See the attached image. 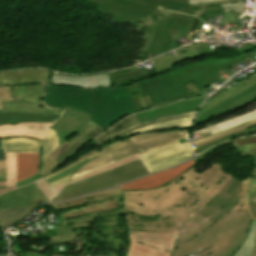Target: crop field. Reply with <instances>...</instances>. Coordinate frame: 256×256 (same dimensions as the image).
Returning <instances> with one entry per match:
<instances>
[{"label": "crop field", "instance_id": "1", "mask_svg": "<svg viewBox=\"0 0 256 256\" xmlns=\"http://www.w3.org/2000/svg\"><path fill=\"white\" fill-rule=\"evenodd\" d=\"M221 167L216 161L198 174L193 166L160 188L123 192L129 234L178 230L172 256H232L256 218L249 178L240 182Z\"/></svg>", "mask_w": 256, "mask_h": 256}, {"label": "crop field", "instance_id": "2", "mask_svg": "<svg viewBox=\"0 0 256 256\" xmlns=\"http://www.w3.org/2000/svg\"><path fill=\"white\" fill-rule=\"evenodd\" d=\"M51 78L44 96L46 106L76 108L91 116L83 130L49 155L60 164L115 122L136 111L127 86L85 90L51 85Z\"/></svg>", "mask_w": 256, "mask_h": 256}, {"label": "crop field", "instance_id": "3", "mask_svg": "<svg viewBox=\"0 0 256 256\" xmlns=\"http://www.w3.org/2000/svg\"><path fill=\"white\" fill-rule=\"evenodd\" d=\"M49 70L0 73V113L61 114L44 107L42 96Z\"/></svg>", "mask_w": 256, "mask_h": 256}, {"label": "crop field", "instance_id": "4", "mask_svg": "<svg viewBox=\"0 0 256 256\" xmlns=\"http://www.w3.org/2000/svg\"><path fill=\"white\" fill-rule=\"evenodd\" d=\"M188 137V130L175 132H160V133H146L141 135L131 136L127 139L116 141L106 146L100 147L96 150L90 151L67 166L57 170L56 172L44 177L47 178L57 172H60L73 164L95 155L98 157L86 163L71 179L86 174L95 169L101 168L126 156L136 154H145L165 146L178 142L177 139ZM70 179V180H71Z\"/></svg>", "mask_w": 256, "mask_h": 256}, {"label": "crop field", "instance_id": "5", "mask_svg": "<svg viewBox=\"0 0 256 256\" xmlns=\"http://www.w3.org/2000/svg\"><path fill=\"white\" fill-rule=\"evenodd\" d=\"M145 174H149V171L143 165L140 159H138L133 162L116 167L103 174L91 177L89 179L71 185H67L65 186L61 195L56 197L54 200H64L91 191L107 188Z\"/></svg>", "mask_w": 256, "mask_h": 256}, {"label": "crop field", "instance_id": "6", "mask_svg": "<svg viewBox=\"0 0 256 256\" xmlns=\"http://www.w3.org/2000/svg\"><path fill=\"white\" fill-rule=\"evenodd\" d=\"M249 57L246 53L223 59H207L192 65L183 66L169 71L179 85L194 81L199 90L216 82L226 80L217 72Z\"/></svg>", "mask_w": 256, "mask_h": 256}, {"label": "crop field", "instance_id": "7", "mask_svg": "<svg viewBox=\"0 0 256 256\" xmlns=\"http://www.w3.org/2000/svg\"><path fill=\"white\" fill-rule=\"evenodd\" d=\"M177 231L167 233L138 232L130 234L127 256H170Z\"/></svg>", "mask_w": 256, "mask_h": 256}, {"label": "crop field", "instance_id": "8", "mask_svg": "<svg viewBox=\"0 0 256 256\" xmlns=\"http://www.w3.org/2000/svg\"><path fill=\"white\" fill-rule=\"evenodd\" d=\"M193 150L190 143L179 145L173 144L163 149L141 155V161L150 173L166 167L182 163L190 158Z\"/></svg>", "mask_w": 256, "mask_h": 256}, {"label": "crop field", "instance_id": "9", "mask_svg": "<svg viewBox=\"0 0 256 256\" xmlns=\"http://www.w3.org/2000/svg\"><path fill=\"white\" fill-rule=\"evenodd\" d=\"M97 5L98 10L105 14H115L113 21L135 19L153 14L157 8L148 7L126 0H88Z\"/></svg>", "mask_w": 256, "mask_h": 256}, {"label": "crop field", "instance_id": "10", "mask_svg": "<svg viewBox=\"0 0 256 256\" xmlns=\"http://www.w3.org/2000/svg\"><path fill=\"white\" fill-rule=\"evenodd\" d=\"M43 201H47V198L34 182L0 195V210H6L10 207H35Z\"/></svg>", "mask_w": 256, "mask_h": 256}, {"label": "crop field", "instance_id": "11", "mask_svg": "<svg viewBox=\"0 0 256 256\" xmlns=\"http://www.w3.org/2000/svg\"><path fill=\"white\" fill-rule=\"evenodd\" d=\"M5 153L10 152H38V146L42 147L41 164L44 159L59 146L55 132L49 128L44 142L28 140L23 138H11L1 140Z\"/></svg>", "mask_w": 256, "mask_h": 256}, {"label": "crop field", "instance_id": "12", "mask_svg": "<svg viewBox=\"0 0 256 256\" xmlns=\"http://www.w3.org/2000/svg\"><path fill=\"white\" fill-rule=\"evenodd\" d=\"M194 112H188V113H182V114H176L171 115L147 122L140 123L138 119L135 117V115H132L125 120L117 123L112 128H110L108 131L103 133L101 136H99L97 139H95L93 142L97 144L105 143L113 138L120 137L124 134L130 133L132 131L144 128L148 125L164 122V121H171V120H177L185 117L192 116Z\"/></svg>", "mask_w": 256, "mask_h": 256}, {"label": "crop field", "instance_id": "13", "mask_svg": "<svg viewBox=\"0 0 256 256\" xmlns=\"http://www.w3.org/2000/svg\"><path fill=\"white\" fill-rule=\"evenodd\" d=\"M63 115L51 127L57 134L60 144L85 127L89 115L76 109L64 108Z\"/></svg>", "mask_w": 256, "mask_h": 256}, {"label": "crop field", "instance_id": "14", "mask_svg": "<svg viewBox=\"0 0 256 256\" xmlns=\"http://www.w3.org/2000/svg\"><path fill=\"white\" fill-rule=\"evenodd\" d=\"M193 166V160L178 166L158 173L156 175L139 179L135 182L122 185L123 191L139 190V189H154L177 177L179 174Z\"/></svg>", "mask_w": 256, "mask_h": 256}, {"label": "crop field", "instance_id": "15", "mask_svg": "<svg viewBox=\"0 0 256 256\" xmlns=\"http://www.w3.org/2000/svg\"><path fill=\"white\" fill-rule=\"evenodd\" d=\"M135 85L149 109L169 104L162 95L167 92V89L156 75L147 80L136 82Z\"/></svg>", "mask_w": 256, "mask_h": 256}, {"label": "crop field", "instance_id": "16", "mask_svg": "<svg viewBox=\"0 0 256 256\" xmlns=\"http://www.w3.org/2000/svg\"><path fill=\"white\" fill-rule=\"evenodd\" d=\"M254 99H256V85L243 91L237 96L219 104L211 111L194 120L193 127L199 123L215 118L221 114L230 112Z\"/></svg>", "mask_w": 256, "mask_h": 256}, {"label": "crop field", "instance_id": "17", "mask_svg": "<svg viewBox=\"0 0 256 256\" xmlns=\"http://www.w3.org/2000/svg\"><path fill=\"white\" fill-rule=\"evenodd\" d=\"M206 97L193 99V100H182L180 102H177L168 106L137 113L135 115L140 120V122H142V121H146V120H150V119H154V118H158V117H162L170 114L194 111Z\"/></svg>", "mask_w": 256, "mask_h": 256}, {"label": "crop field", "instance_id": "18", "mask_svg": "<svg viewBox=\"0 0 256 256\" xmlns=\"http://www.w3.org/2000/svg\"><path fill=\"white\" fill-rule=\"evenodd\" d=\"M52 123H14L0 126V137L21 135L43 139Z\"/></svg>", "mask_w": 256, "mask_h": 256}, {"label": "crop field", "instance_id": "19", "mask_svg": "<svg viewBox=\"0 0 256 256\" xmlns=\"http://www.w3.org/2000/svg\"><path fill=\"white\" fill-rule=\"evenodd\" d=\"M52 84L85 88V89L110 87L107 74L101 75V76L84 77V78H76V77H69V76H54L52 78Z\"/></svg>", "mask_w": 256, "mask_h": 256}, {"label": "crop field", "instance_id": "20", "mask_svg": "<svg viewBox=\"0 0 256 256\" xmlns=\"http://www.w3.org/2000/svg\"><path fill=\"white\" fill-rule=\"evenodd\" d=\"M240 156H255L256 159V136L235 139L232 141ZM254 177L250 178L251 200L253 212L256 216V166L253 170Z\"/></svg>", "mask_w": 256, "mask_h": 256}, {"label": "crop field", "instance_id": "21", "mask_svg": "<svg viewBox=\"0 0 256 256\" xmlns=\"http://www.w3.org/2000/svg\"><path fill=\"white\" fill-rule=\"evenodd\" d=\"M256 84V73L246 80L238 83L237 85L225 90L224 92L220 93L219 95L215 96L214 98L208 100L201 110L198 112L196 118L201 116L202 114L206 113L208 110L215 107L217 104L235 96L236 94L242 92L243 90L251 87L252 85Z\"/></svg>", "mask_w": 256, "mask_h": 256}, {"label": "crop field", "instance_id": "22", "mask_svg": "<svg viewBox=\"0 0 256 256\" xmlns=\"http://www.w3.org/2000/svg\"><path fill=\"white\" fill-rule=\"evenodd\" d=\"M38 159L39 153H16V182L37 173Z\"/></svg>", "mask_w": 256, "mask_h": 256}, {"label": "crop field", "instance_id": "23", "mask_svg": "<svg viewBox=\"0 0 256 256\" xmlns=\"http://www.w3.org/2000/svg\"><path fill=\"white\" fill-rule=\"evenodd\" d=\"M178 55L170 58L164 59L163 57L150 62L153 69L157 72V74L167 72L171 70L170 67L176 61L199 56L193 45L186 46L180 49L175 50Z\"/></svg>", "mask_w": 256, "mask_h": 256}, {"label": "crop field", "instance_id": "24", "mask_svg": "<svg viewBox=\"0 0 256 256\" xmlns=\"http://www.w3.org/2000/svg\"><path fill=\"white\" fill-rule=\"evenodd\" d=\"M122 207L123 205H122V198H121L118 200H111L107 202L85 206L83 208L68 211V212H62L60 213V215L62 216L63 219H65V218L78 217V216H83V215L92 214V213L105 212V211L118 209Z\"/></svg>", "mask_w": 256, "mask_h": 256}, {"label": "crop field", "instance_id": "25", "mask_svg": "<svg viewBox=\"0 0 256 256\" xmlns=\"http://www.w3.org/2000/svg\"><path fill=\"white\" fill-rule=\"evenodd\" d=\"M120 195H122L121 188L117 187L114 189H110V190H107V191H104L101 193H97V194H93L90 196H86L83 198H79V199H75V200H71V201H67V202H62V203H47L45 205H47L55 210H59V209H63V208L79 206L81 204H84V203L90 202V201L102 200L105 198H111V197L120 196Z\"/></svg>", "mask_w": 256, "mask_h": 256}, {"label": "crop field", "instance_id": "26", "mask_svg": "<svg viewBox=\"0 0 256 256\" xmlns=\"http://www.w3.org/2000/svg\"><path fill=\"white\" fill-rule=\"evenodd\" d=\"M59 115H32L22 113L0 114V125L13 122H54Z\"/></svg>", "mask_w": 256, "mask_h": 256}, {"label": "crop field", "instance_id": "27", "mask_svg": "<svg viewBox=\"0 0 256 256\" xmlns=\"http://www.w3.org/2000/svg\"><path fill=\"white\" fill-rule=\"evenodd\" d=\"M158 77L169 91L168 93L164 94L169 103L181 100L189 95L185 86H179L169 72L160 74Z\"/></svg>", "mask_w": 256, "mask_h": 256}, {"label": "crop field", "instance_id": "28", "mask_svg": "<svg viewBox=\"0 0 256 256\" xmlns=\"http://www.w3.org/2000/svg\"><path fill=\"white\" fill-rule=\"evenodd\" d=\"M112 86H123L135 83V81L147 79L150 74L145 68L118 74H109Z\"/></svg>", "mask_w": 256, "mask_h": 256}, {"label": "crop field", "instance_id": "29", "mask_svg": "<svg viewBox=\"0 0 256 256\" xmlns=\"http://www.w3.org/2000/svg\"><path fill=\"white\" fill-rule=\"evenodd\" d=\"M172 15L180 16V17L183 16V14L174 13V14H171L169 16H166V17L160 19V21H159V23H158V25L155 29V32H154L153 38L151 40V43L149 45V48L147 50L148 56L149 55H153V56L156 55L157 50H158V48H159V46L162 42V39L164 37L165 30H166L167 26L170 23Z\"/></svg>", "mask_w": 256, "mask_h": 256}, {"label": "crop field", "instance_id": "30", "mask_svg": "<svg viewBox=\"0 0 256 256\" xmlns=\"http://www.w3.org/2000/svg\"><path fill=\"white\" fill-rule=\"evenodd\" d=\"M33 208H10L6 211H0L1 230L6 229L13 223L26 216Z\"/></svg>", "mask_w": 256, "mask_h": 256}, {"label": "crop field", "instance_id": "31", "mask_svg": "<svg viewBox=\"0 0 256 256\" xmlns=\"http://www.w3.org/2000/svg\"><path fill=\"white\" fill-rule=\"evenodd\" d=\"M190 122H191V117L185 118L182 120H178V121L165 122V123H161V124L148 126L144 129L127 134V136L140 134V133H146V132H152V131H157V130H164L167 128H178V127L190 126Z\"/></svg>", "mask_w": 256, "mask_h": 256}, {"label": "crop field", "instance_id": "32", "mask_svg": "<svg viewBox=\"0 0 256 256\" xmlns=\"http://www.w3.org/2000/svg\"><path fill=\"white\" fill-rule=\"evenodd\" d=\"M256 118V110L251 111L247 114L240 115L223 122L217 123L216 126L220 129V131L237 126L239 124L245 123L247 121L253 120Z\"/></svg>", "mask_w": 256, "mask_h": 256}, {"label": "crop field", "instance_id": "33", "mask_svg": "<svg viewBox=\"0 0 256 256\" xmlns=\"http://www.w3.org/2000/svg\"><path fill=\"white\" fill-rule=\"evenodd\" d=\"M256 232V221H253L249 229V234L243 245L234 253L233 256H249L254 244V236Z\"/></svg>", "mask_w": 256, "mask_h": 256}, {"label": "crop field", "instance_id": "34", "mask_svg": "<svg viewBox=\"0 0 256 256\" xmlns=\"http://www.w3.org/2000/svg\"><path fill=\"white\" fill-rule=\"evenodd\" d=\"M138 158H139V155H138V154L133 155V156L126 157V158H124V159H122V160H119V161H117V162H115V163H112V164H110V165H108V166H105V167H103V168H101V169H98V170H96V171L90 172V173H88V174H86V175H83V176H81V177H78V178H76V179H74V180H71V181H69L67 184L74 183V182H77V181L86 179V178H88V177H91V176H94V175L103 173V172H105V171H107V170H109V169H112V168H114V167H116V166H119V165H122V164H124V163L133 161V160L138 159Z\"/></svg>", "mask_w": 256, "mask_h": 256}, {"label": "crop field", "instance_id": "35", "mask_svg": "<svg viewBox=\"0 0 256 256\" xmlns=\"http://www.w3.org/2000/svg\"><path fill=\"white\" fill-rule=\"evenodd\" d=\"M7 187L15 185V153L5 154Z\"/></svg>", "mask_w": 256, "mask_h": 256}, {"label": "crop field", "instance_id": "36", "mask_svg": "<svg viewBox=\"0 0 256 256\" xmlns=\"http://www.w3.org/2000/svg\"><path fill=\"white\" fill-rule=\"evenodd\" d=\"M164 7L177 8L176 11L193 14L195 9H187V0H164Z\"/></svg>", "mask_w": 256, "mask_h": 256}, {"label": "crop field", "instance_id": "37", "mask_svg": "<svg viewBox=\"0 0 256 256\" xmlns=\"http://www.w3.org/2000/svg\"><path fill=\"white\" fill-rule=\"evenodd\" d=\"M36 182L39 185V187L41 188V190L44 192V194L46 195L48 200H51L52 198L57 196V194L59 193V191L62 189V187L65 184L64 183L62 185L52 188L43 178H41L40 180H38Z\"/></svg>", "mask_w": 256, "mask_h": 256}, {"label": "crop field", "instance_id": "38", "mask_svg": "<svg viewBox=\"0 0 256 256\" xmlns=\"http://www.w3.org/2000/svg\"><path fill=\"white\" fill-rule=\"evenodd\" d=\"M96 157H97V156H96ZM94 158H95V157H94ZM92 159H93V158H92ZM90 160H91V159H90ZM90 160L86 159V160H84V161H81V162L75 164L74 166H72V167H70V168H68V169H66V170H64V171H62V172H60V173H58V174H56V175H54V176L48 178V179H46V181H47L48 183H50V182H52V181H54V180H56V179H58V178L64 177V176L69 175V174H71V173H73V172L76 173L86 162H88V161H90Z\"/></svg>", "mask_w": 256, "mask_h": 256}, {"label": "crop field", "instance_id": "39", "mask_svg": "<svg viewBox=\"0 0 256 256\" xmlns=\"http://www.w3.org/2000/svg\"><path fill=\"white\" fill-rule=\"evenodd\" d=\"M219 11L232 14L244 13V1L221 5Z\"/></svg>", "mask_w": 256, "mask_h": 256}, {"label": "crop field", "instance_id": "40", "mask_svg": "<svg viewBox=\"0 0 256 256\" xmlns=\"http://www.w3.org/2000/svg\"><path fill=\"white\" fill-rule=\"evenodd\" d=\"M41 176L38 175V173L30 178H28L27 180L23 181V182H19V183H16V186L14 187H10V188H2L0 189V194H2L3 192H7V191H10L12 190V188H17V187H21V185H26V184H29L35 180H37L38 178H40ZM0 186H6V183H0Z\"/></svg>", "mask_w": 256, "mask_h": 256}, {"label": "crop field", "instance_id": "41", "mask_svg": "<svg viewBox=\"0 0 256 256\" xmlns=\"http://www.w3.org/2000/svg\"><path fill=\"white\" fill-rule=\"evenodd\" d=\"M254 125H256V122L251 123V124L246 125V126H243V127H241V128L235 129V130H233V131L227 132V133H225V134H222V135H219V136H216V137H213V138L204 140V141H202V142H200V143L195 144V147H197V146H199V145H201V144H204V143H206V142L212 141V140H214V139H217V138H220V137H223V136H227V135L236 133V132H238V131L244 130V129L249 128V127H252V126H254Z\"/></svg>", "mask_w": 256, "mask_h": 256}, {"label": "crop field", "instance_id": "42", "mask_svg": "<svg viewBox=\"0 0 256 256\" xmlns=\"http://www.w3.org/2000/svg\"><path fill=\"white\" fill-rule=\"evenodd\" d=\"M255 129H256V128H253V129L248 130V131H245V132H243V133H246V132H249V131H252V130H255ZM243 133H240V134H243ZM240 134H237V135H240ZM234 136H236V135H234ZM234 136H232V137H234ZM232 137H229V138H226V139H224V140H221V141L215 142V143H213V144H210V145L204 146V147H202V148H199V149H197L196 153L198 154V153H200V152L206 150L207 148H209V147H211V146H213V145H215V144H217V143H220V142H223V141H225V140H228V139H230V138H232Z\"/></svg>", "mask_w": 256, "mask_h": 256}, {"label": "crop field", "instance_id": "43", "mask_svg": "<svg viewBox=\"0 0 256 256\" xmlns=\"http://www.w3.org/2000/svg\"><path fill=\"white\" fill-rule=\"evenodd\" d=\"M234 1H239V0H228V1L211 3V4L191 5V6H189V8L209 7V6H213V5L223 4V3H227V2H234Z\"/></svg>", "mask_w": 256, "mask_h": 256}, {"label": "crop field", "instance_id": "44", "mask_svg": "<svg viewBox=\"0 0 256 256\" xmlns=\"http://www.w3.org/2000/svg\"><path fill=\"white\" fill-rule=\"evenodd\" d=\"M135 1L151 4L157 7H163V0H135Z\"/></svg>", "mask_w": 256, "mask_h": 256}, {"label": "crop field", "instance_id": "45", "mask_svg": "<svg viewBox=\"0 0 256 256\" xmlns=\"http://www.w3.org/2000/svg\"><path fill=\"white\" fill-rule=\"evenodd\" d=\"M254 121H256V119H255V120H253V121L247 122V123H245V124L239 125V126H237V127H234V128H231V129H228V130H225V131H222V132H219V133L213 134V135H211V136H209V137H206V138H202V139L196 140V141H194L193 143L195 144V143H197V142H199V141H202V140H204V139H207V138H210V137H213V136H216V135H219V134L225 133V132H227V131L233 130V129H235V128L241 127V126H243V125L249 124V123L254 122Z\"/></svg>", "mask_w": 256, "mask_h": 256}, {"label": "crop field", "instance_id": "46", "mask_svg": "<svg viewBox=\"0 0 256 256\" xmlns=\"http://www.w3.org/2000/svg\"><path fill=\"white\" fill-rule=\"evenodd\" d=\"M216 1H222V0H188L189 5L200 4V3H210V2H216Z\"/></svg>", "mask_w": 256, "mask_h": 256}, {"label": "crop field", "instance_id": "47", "mask_svg": "<svg viewBox=\"0 0 256 256\" xmlns=\"http://www.w3.org/2000/svg\"><path fill=\"white\" fill-rule=\"evenodd\" d=\"M70 176H71V175L66 176V177H64V178H61V179H59V180H57V181H55V182H53V183H50V185H51L52 187H54V186H56V185H59V184L65 182V181H67Z\"/></svg>", "mask_w": 256, "mask_h": 256}, {"label": "crop field", "instance_id": "48", "mask_svg": "<svg viewBox=\"0 0 256 256\" xmlns=\"http://www.w3.org/2000/svg\"><path fill=\"white\" fill-rule=\"evenodd\" d=\"M0 177H6L5 168L0 169Z\"/></svg>", "mask_w": 256, "mask_h": 256}, {"label": "crop field", "instance_id": "49", "mask_svg": "<svg viewBox=\"0 0 256 256\" xmlns=\"http://www.w3.org/2000/svg\"><path fill=\"white\" fill-rule=\"evenodd\" d=\"M248 47L242 49L243 52H246V51H249L251 49H253V46L250 44V45H247Z\"/></svg>", "mask_w": 256, "mask_h": 256}, {"label": "crop field", "instance_id": "50", "mask_svg": "<svg viewBox=\"0 0 256 256\" xmlns=\"http://www.w3.org/2000/svg\"><path fill=\"white\" fill-rule=\"evenodd\" d=\"M2 159H5L3 149L0 150V160H2Z\"/></svg>", "mask_w": 256, "mask_h": 256}, {"label": "crop field", "instance_id": "51", "mask_svg": "<svg viewBox=\"0 0 256 256\" xmlns=\"http://www.w3.org/2000/svg\"><path fill=\"white\" fill-rule=\"evenodd\" d=\"M5 167V160L0 161V168Z\"/></svg>", "mask_w": 256, "mask_h": 256}, {"label": "crop field", "instance_id": "52", "mask_svg": "<svg viewBox=\"0 0 256 256\" xmlns=\"http://www.w3.org/2000/svg\"><path fill=\"white\" fill-rule=\"evenodd\" d=\"M251 256H256V244H255V246H254V250H253Z\"/></svg>", "mask_w": 256, "mask_h": 256}, {"label": "crop field", "instance_id": "53", "mask_svg": "<svg viewBox=\"0 0 256 256\" xmlns=\"http://www.w3.org/2000/svg\"><path fill=\"white\" fill-rule=\"evenodd\" d=\"M214 128H216V126H215V125L210 126V127H208L207 129L210 131V130H212V129H214Z\"/></svg>", "mask_w": 256, "mask_h": 256}, {"label": "crop field", "instance_id": "54", "mask_svg": "<svg viewBox=\"0 0 256 256\" xmlns=\"http://www.w3.org/2000/svg\"><path fill=\"white\" fill-rule=\"evenodd\" d=\"M216 132H219L218 128L213 130V131H211V134L216 133Z\"/></svg>", "mask_w": 256, "mask_h": 256}, {"label": "crop field", "instance_id": "55", "mask_svg": "<svg viewBox=\"0 0 256 256\" xmlns=\"http://www.w3.org/2000/svg\"><path fill=\"white\" fill-rule=\"evenodd\" d=\"M0 181H6V178H0Z\"/></svg>", "mask_w": 256, "mask_h": 256}, {"label": "crop field", "instance_id": "56", "mask_svg": "<svg viewBox=\"0 0 256 256\" xmlns=\"http://www.w3.org/2000/svg\"><path fill=\"white\" fill-rule=\"evenodd\" d=\"M1 148H3V147H2V143H1V141H0V149H1Z\"/></svg>", "mask_w": 256, "mask_h": 256}, {"label": "crop field", "instance_id": "57", "mask_svg": "<svg viewBox=\"0 0 256 256\" xmlns=\"http://www.w3.org/2000/svg\"><path fill=\"white\" fill-rule=\"evenodd\" d=\"M5 256H6V254H5Z\"/></svg>", "mask_w": 256, "mask_h": 256}]
</instances>
